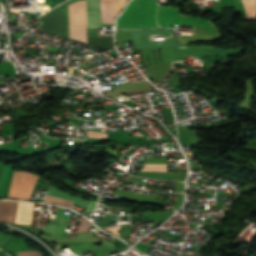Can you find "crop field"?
<instances>
[{
  "instance_id": "crop-field-1",
  "label": "crop field",
  "mask_w": 256,
  "mask_h": 256,
  "mask_svg": "<svg viewBox=\"0 0 256 256\" xmlns=\"http://www.w3.org/2000/svg\"><path fill=\"white\" fill-rule=\"evenodd\" d=\"M155 0H132L120 15L117 28H155Z\"/></svg>"
},
{
  "instance_id": "crop-field-2",
  "label": "crop field",
  "mask_w": 256,
  "mask_h": 256,
  "mask_svg": "<svg viewBox=\"0 0 256 256\" xmlns=\"http://www.w3.org/2000/svg\"><path fill=\"white\" fill-rule=\"evenodd\" d=\"M157 23L162 27H171V24L213 25L209 19L182 16L179 8L159 5Z\"/></svg>"
},
{
  "instance_id": "crop-field-3",
  "label": "crop field",
  "mask_w": 256,
  "mask_h": 256,
  "mask_svg": "<svg viewBox=\"0 0 256 256\" xmlns=\"http://www.w3.org/2000/svg\"><path fill=\"white\" fill-rule=\"evenodd\" d=\"M38 176L20 171L14 172L9 197L29 199Z\"/></svg>"
},
{
  "instance_id": "crop-field-4",
  "label": "crop field",
  "mask_w": 256,
  "mask_h": 256,
  "mask_svg": "<svg viewBox=\"0 0 256 256\" xmlns=\"http://www.w3.org/2000/svg\"><path fill=\"white\" fill-rule=\"evenodd\" d=\"M126 0H100L102 23H113ZM127 2V1H126Z\"/></svg>"
},
{
  "instance_id": "crop-field-5",
  "label": "crop field",
  "mask_w": 256,
  "mask_h": 256,
  "mask_svg": "<svg viewBox=\"0 0 256 256\" xmlns=\"http://www.w3.org/2000/svg\"><path fill=\"white\" fill-rule=\"evenodd\" d=\"M87 28H101L99 0H86Z\"/></svg>"
},
{
  "instance_id": "crop-field-6",
  "label": "crop field",
  "mask_w": 256,
  "mask_h": 256,
  "mask_svg": "<svg viewBox=\"0 0 256 256\" xmlns=\"http://www.w3.org/2000/svg\"><path fill=\"white\" fill-rule=\"evenodd\" d=\"M17 202L0 201V221L13 224Z\"/></svg>"
},
{
  "instance_id": "crop-field-7",
  "label": "crop field",
  "mask_w": 256,
  "mask_h": 256,
  "mask_svg": "<svg viewBox=\"0 0 256 256\" xmlns=\"http://www.w3.org/2000/svg\"><path fill=\"white\" fill-rule=\"evenodd\" d=\"M71 215L57 213L55 222L58 223L55 235L62 236Z\"/></svg>"
},
{
  "instance_id": "crop-field-8",
  "label": "crop field",
  "mask_w": 256,
  "mask_h": 256,
  "mask_svg": "<svg viewBox=\"0 0 256 256\" xmlns=\"http://www.w3.org/2000/svg\"><path fill=\"white\" fill-rule=\"evenodd\" d=\"M44 203L53 204V205H60V206H65V207L71 208L73 202L47 195L46 198H45Z\"/></svg>"
},
{
  "instance_id": "crop-field-9",
  "label": "crop field",
  "mask_w": 256,
  "mask_h": 256,
  "mask_svg": "<svg viewBox=\"0 0 256 256\" xmlns=\"http://www.w3.org/2000/svg\"><path fill=\"white\" fill-rule=\"evenodd\" d=\"M141 171H166V165L145 164Z\"/></svg>"
},
{
  "instance_id": "crop-field-10",
  "label": "crop field",
  "mask_w": 256,
  "mask_h": 256,
  "mask_svg": "<svg viewBox=\"0 0 256 256\" xmlns=\"http://www.w3.org/2000/svg\"><path fill=\"white\" fill-rule=\"evenodd\" d=\"M92 224L88 222L86 219L82 218L81 224L77 232H85L90 228Z\"/></svg>"
},
{
  "instance_id": "crop-field-11",
  "label": "crop field",
  "mask_w": 256,
  "mask_h": 256,
  "mask_svg": "<svg viewBox=\"0 0 256 256\" xmlns=\"http://www.w3.org/2000/svg\"><path fill=\"white\" fill-rule=\"evenodd\" d=\"M88 136L89 137H98V138H107V135L102 132H91L88 131Z\"/></svg>"
},
{
  "instance_id": "crop-field-12",
  "label": "crop field",
  "mask_w": 256,
  "mask_h": 256,
  "mask_svg": "<svg viewBox=\"0 0 256 256\" xmlns=\"http://www.w3.org/2000/svg\"><path fill=\"white\" fill-rule=\"evenodd\" d=\"M18 256H42L38 252L35 251H24L20 252Z\"/></svg>"
},
{
  "instance_id": "crop-field-13",
  "label": "crop field",
  "mask_w": 256,
  "mask_h": 256,
  "mask_svg": "<svg viewBox=\"0 0 256 256\" xmlns=\"http://www.w3.org/2000/svg\"><path fill=\"white\" fill-rule=\"evenodd\" d=\"M95 205H96V202L91 201L90 204H89V206H88V208H87V212L92 213V211H93Z\"/></svg>"
}]
</instances>
